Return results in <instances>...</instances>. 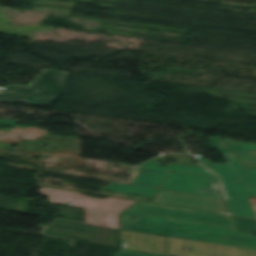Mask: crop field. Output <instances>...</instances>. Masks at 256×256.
Returning a JSON list of instances; mask_svg holds the SVG:
<instances>
[{"instance_id": "obj_1", "label": "crop field", "mask_w": 256, "mask_h": 256, "mask_svg": "<svg viewBox=\"0 0 256 256\" xmlns=\"http://www.w3.org/2000/svg\"><path fill=\"white\" fill-rule=\"evenodd\" d=\"M40 194L49 202H73L86 208L85 224L118 229L119 213L135 203L108 197L90 198L82 193L41 188ZM123 214L139 216L135 220L121 219V229L195 241L215 243L256 250V237L236 233L231 216L213 212L139 202ZM237 231L256 234V219L233 216Z\"/></svg>"}, {"instance_id": "obj_12", "label": "crop field", "mask_w": 256, "mask_h": 256, "mask_svg": "<svg viewBox=\"0 0 256 256\" xmlns=\"http://www.w3.org/2000/svg\"><path fill=\"white\" fill-rule=\"evenodd\" d=\"M114 256H163V255L120 249Z\"/></svg>"}, {"instance_id": "obj_11", "label": "crop field", "mask_w": 256, "mask_h": 256, "mask_svg": "<svg viewBox=\"0 0 256 256\" xmlns=\"http://www.w3.org/2000/svg\"><path fill=\"white\" fill-rule=\"evenodd\" d=\"M243 167L256 168V155L234 153Z\"/></svg>"}, {"instance_id": "obj_7", "label": "crop field", "mask_w": 256, "mask_h": 256, "mask_svg": "<svg viewBox=\"0 0 256 256\" xmlns=\"http://www.w3.org/2000/svg\"><path fill=\"white\" fill-rule=\"evenodd\" d=\"M211 143L218 149L223 156L234 157L233 154L229 151L220 137H214L210 139ZM232 152H241V153H251L256 154V144L254 143H245V142H236V141H227L224 140Z\"/></svg>"}, {"instance_id": "obj_2", "label": "crop field", "mask_w": 256, "mask_h": 256, "mask_svg": "<svg viewBox=\"0 0 256 256\" xmlns=\"http://www.w3.org/2000/svg\"><path fill=\"white\" fill-rule=\"evenodd\" d=\"M66 76L64 72L43 71L28 88L13 85L0 89V102L52 105L64 88Z\"/></svg>"}, {"instance_id": "obj_9", "label": "crop field", "mask_w": 256, "mask_h": 256, "mask_svg": "<svg viewBox=\"0 0 256 256\" xmlns=\"http://www.w3.org/2000/svg\"><path fill=\"white\" fill-rule=\"evenodd\" d=\"M104 189L111 190V191H117V192L149 196V197H153V195L157 191L155 189L135 187V186L124 185V184H114V183H109V185L107 187H105Z\"/></svg>"}, {"instance_id": "obj_8", "label": "crop field", "mask_w": 256, "mask_h": 256, "mask_svg": "<svg viewBox=\"0 0 256 256\" xmlns=\"http://www.w3.org/2000/svg\"><path fill=\"white\" fill-rule=\"evenodd\" d=\"M197 160L205 165L211 172L216 174L218 177L242 180L230 164L213 165L211 162L205 159L197 158Z\"/></svg>"}, {"instance_id": "obj_3", "label": "crop field", "mask_w": 256, "mask_h": 256, "mask_svg": "<svg viewBox=\"0 0 256 256\" xmlns=\"http://www.w3.org/2000/svg\"><path fill=\"white\" fill-rule=\"evenodd\" d=\"M244 181L218 178L229 210L236 216L256 218L247 196L256 197V169L243 168L236 158L226 157Z\"/></svg>"}, {"instance_id": "obj_15", "label": "crop field", "mask_w": 256, "mask_h": 256, "mask_svg": "<svg viewBox=\"0 0 256 256\" xmlns=\"http://www.w3.org/2000/svg\"><path fill=\"white\" fill-rule=\"evenodd\" d=\"M0 124L15 125V121L0 120Z\"/></svg>"}, {"instance_id": "obj_4", "label": "crop field", "mask_w": 256, "mask_h": 256, "mask_svg": "<svg viewBox=\"0 0 256 256\" xmlns=\"http://www.w3.org/2000/svg\"><path fill=\"white\" fill-rule=\"evenodd\" d=\"M153 203L193 208L224 213L227 208L223 199L203 197L160 190L151 201Z\"/></svg>"}, {"instance_id": "obj_5", "label": "crop field", "mask_w": 256, "mask_h": 256, "mask_svg": "<svg viewBox=\"0 0 256 256\" xmlns=\"http://www.w3.org/2000/svg\"><path fill=\"white\" fill-rule=\"evenodd\" d=\"M216 179L171 172L161 189L206 196Z\"/></svg>"}, {"instance_id": "obj_14", "label": "crop field", "mask_w": 256, "mask_h": 256, "mask_svg": "<svg viewBox=\"0 0 256 256\" xmlns=\"http://www.w3.org/2000/svg\"><path fill=\"white\" fill-rule=\"evenodd\" d=\"M249 202L251 204V206L253 207L255 213H256V198H252V197H248Z\"/></svg>"}, {"instance_id": "obj_13", "label": "crop field", "mask_w": 256, "mask_h": 256, "mask_svg": "<svg viewBox=\"0 0 256 256\" xmlns=\"http://www.w3.org/2000/svg\"><path fill=\"white\" fill-rule=\"evenodd\" d=\"M216 183L214 184V186L212 187V189L210 190V192L208 193L207 196L222 198V196L220 194L214 192Z\"/></svg>"}, {"instance_id": "obj_10", "label": "crop field", "mask_w": 256, "mask_h": 256, "mask_svg": "<svg viewBox=\"0 0 256 256\" xmlns=\"http://www.w3.org/2000/svg\"><path fill=\"white\" fill-rule=\"evenodd\" d=\"M142 166L214 176L210 172H208L206 169L201 167L183 166V165L160 166L157 162H154V161H150Z\"/></svg>"}, {"instance_id": "obj_6", "label": "crop field", "mask_w": 256, "mask_h": 256, "mask_svg": "<svg viewBox=\"0 0 256 256\" xmlns=\"http://www.w3.org/2000/svg\"><path fill=\"white\" fill-rule=\"evenodd\" d=\"M137 169L141 170L131 185L143 186L159 189L167 179L171 171L140 167Z\"/></svg>"}]
</instances>
